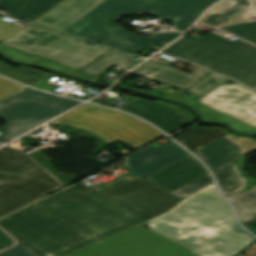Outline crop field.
Masks as SVG:
<instances>
[{
    "instance_id": "obj_24",
    "label": "crop field",
    "mask_w": 256,
    "mask_h": 256,
    "mask_svg": "<svg viewBox=\"0 0 256 256\" xmlns=\"http://www.w3.org/2000/svg\"><path fill=\"white\" fill-rule=\"evenodd\" d=\"M224 31L256 44V22L225 27Z\"/></svg>"
},
{
    "instance_id": "obj_30",
    "label": "crop field",
    "mask_w": 256,
    "mask_h": 256,
    "mask_svg": "<svg viewBox=\"0 0 256 256\" xmlns=\"http://www.w3.org/2000/svg\"><path fill=\"white\" fill-rule=\"evenodd\" d=\"M14 241L0 230V249L11 246Z\"/></svg>"
},
{
    "instance_id": "obj_28",
    "label": "crop field",
    "mask_w": 256,
    "mask_h": 256,
    "mask_svg": "<svg viewBox=\"0 0 256 256\" xmlns=\"http://www.w3.org/2000/svg\"><path fill=\"white\" fill-rule=\"evenodd\" d=\"M0 256H33V255L19 244L13 248H10L0 253Z\"/></svg>"
},
{
    "instance_id": "obj_27",
    "label": "crop field",
    "mask_w": 256,
    "mask_h": 256,
    "mask_svg": "<svg viewBox=\"0 0 256 256\" xmlns=\"http://www.w3.org/2000/svg\"><path fill=\"white\" fill-rule=\"evenodd\" d=\"M22 27L0 19V40L8 38Z\"/></svg>"
},
{
    "instance_id": "obj_29",
    "label": "crop field",
    "mask_w": 256,
    "mask_h": 256,
    "mask_svg": "<svg viewBox=\"0 0 256 256\" xmlns=\"http://www.w3.org/2000/svg\"><path fill=\"white\" fill-rule=\"evenodd\" d=\"M52 77H54V76L49 75V76L45 77L44 79H42V80H40V81L30 85V86H32L34 88H38V89H42V90L52 92L54 89L59 87V86H56L54 84H51V83L47 82Z\"/></svg>"
},
{
    "instance_id": "obj_35",
    "label": "crop field",
    "mask_w": 256,
    "mask_h": 256,
    "mask_svg": "<svg viewBox=\"0 0 256 256\" xmlns=\"http://www.w3.org/2000/svg\"><path fill=\"white\" fill-rule=\"evenodd\" d=\"M255 1V3H256V0H254Z\"/></svg>"
},
{
    "instance_id": "obj_14",
    "label": "crop field",
    "mask_w": 256,
    "mask_h": 256,
    "mask_svg": "<svg viewBox=\"0 0 256 256\" xmlns=\"http://www.w3.org/2000/svg\"><path fill=\"white\" fill-rule=\"evenodd\" d=\"M208 173L191 155L147 177L169 192Z\"/></svg>"
},
{
    "instance_id": "obj_3",
    "label": "crop field",
    "mask_w": 256,
    "mask_h": 256,
    "mask_svg": "<svg viewBox=\"0 0 256 256\" xmlns=\"http://www.w3.org/2000/svg\"><path fill=\"white\" fill-rule=\"evenodd\" d=\"M217 0H106L64 33L90 39L123 52L136 54L158 42H170L181 33H158L151 37L127 34L115 22L139 11L174 22L176 30H186L200 13ZM196 13L197 15L193 14Z\"/></svg>"
},
{
    "instance_id": "obj_10",
    "label": "crop field",
    "mask_w": 256,
    "mask_h": 256,
    "mask_svg": "<svg viewBox=\"0 0 256 256\" xmlns=\"http://www.w3.org/2000/svg\"><path fill=\"white\" fill-rule=\"evenodd\" d=\"M65 256H200L140 226H134Z\"/></svg>"
},
{
    "instance_id": "obj_6",
    "label": "crop field",
    "mask_w": 256,
    "mask_h": 256,
    "mask_svg": "<svg viewBox=\"0 0 256 256\" xmlns=\"http://www.w3.org/2000/svg\"><path fill=\"white\" fill-rule=\"evenodd\" d=\"M50 123L84 129L107 143L119 140L135 149L162 136L158 130L134 117L88 104L82 105Z\"/></svg>"
},
{
    "instance_id": "obj_22",
    "label": "crop field",
    "mask_w": 256,
    "mask_h": 256,
    "mask_svg": "<svg viewBox=\"0 0 256 256\" xmlns=\"http://www.w3.org/2000/svg\"><path fill=\"white\" fill-rule=\"evenodd\" d=\"M0 74L28 85L48 75L47 73L25 66L15 69L2 61H0Z\"/></svg>"
},
{
    "instance_id": "obj_20",
    "label": "crop field",
    "mask_w": 256,
    "mask_h": 256,
    "mask_svg": "<svg viewBox=\"0 0 256 256\" xmlns=\"http://www.w3.org/2000/svg\"><path fill=\"white\" fill-rule=\"evenodd\" d=\"M213 174L224 195L243 190L246 186L245 180L237 172L232 162L213 171Z\"/></svg>"
},
{
    "instance_id": "obj_9",
    "label": "crop field",
    "mask_w": 256,
    "mask_h": 256,
    "mask_svg": "<svg viewBox=\"0 0 256 256\" xmlns=\"http://www.w3.org/2000/svg\"><path fill=\"white\" fill-rule=\"evenodd\" d=\"M205 120H225L242 132L256 133V93L238 84L221 85L203 98H185Z\"/></svg>"
},
{
    "instance_id": "obj_5",
    "label": "crop field",
    "mask_w": 256,
    "mask_h": 256,
    "mask_svg": "<svg viewBox=\"0 0 256 256\" xmlns=\"http://www.w3.org/2000/svg\"><path fill=\"white\" fill-rule=\"evenodd\" d=\"M0 218L59 190L65 185L31 156L7 147L0 150Z\"/></svg>"
},
{
    "instance_id": "obj_12",
    "label": "crop field",
    "mask_w": 256,
    "mask_h": 256,
    "mask_svg": "<svg viewBox=\"0 0 256 256\" xmlns=\"http://www.w3.org/2000/svg\"><path fill=\"white\" fill-rule=\"evenodd\" d=\"M254 148H256V142L250 139L233 138L227 135L193 154L197 155L212 171Z\"/></svg>"
},
{
    "instance_id": "obj_11",
    "label": "crop field",
    "mask_w": 256,
    "mask_h": 256,
    "mask_svg": "<svg viewBox=\"0 0 256 256\" xmlns=\"http://www.w3.org/2000/svg\"><path fill=\"white\" fill-rule=\"evenodd\" d=\"M117 109L141 117L167 134L191 122L189 115L184 111L137 97L132 98Z\"/></svg>"
},
{
    "instance_id": "obj_4",
    "label": "crop field",
    "mask_w": 256,
    "mask_h": 256,
    "mask_svg": "<svg viewBox=\"0 0 256 256\" xmlns=\"http://www.w3.org/2000/svg\"><path fill=\"white\" fill-rule=\"evenodd\" d=\"M163 53L256 87V47L240 39L231 41L214 33L196 41L183 37Z\"/></svg>"
},
{
    "instance_id": "obj_16",
    "label": "crop field",
    "mask_w": 256,
    "mask_h": 256,
    "mask_svg": "<svg viewBox=\"0 0 256 256\" xmlns=\"http://www.w3.org/2000/svg\"><path fill=\"white\" fill-rule=\"evenodd\" d=\"M256 17L252 0H227L209 11L198 24L222 26Z\"/></svg>"
},
{
    "instance_id": "obj_7",
    "label": "crop field",
    "mask_w": 256,
    "mask_h": 256,
    "mask_svg": "<svg viewBox=\"0 0 256 256\" xmlns=\"http://www.w3.org/2000/svg\"><path fill=\"white\" fill-rule=\"evenodd\" d=\"M85 43L86 40L27 25L0 44L80 70L110 49L102 45L95 47Z\"/></svg>"
},
{
    "instance_id": "obj_19",
    "label": "crop field",
    "mask_w": 256,
    "mask_h": 256,
    "mask_svg": "<svg viewBox=\"0 0 256 256\" xmlns=\"http://www.w3.org/2000/svg\"><path fill=\"white\" fill-rule=\"evenodd\" d=\"M134 57L110 49L86 68H84L82 72L97 76L106 71L113 64H117L130 69L139 63V61L134 60Z\"/></svg>"
},
{
    "instance_id": "obj_13",
    "label": "crop field",
    "mask_w": 256,
    "mask_h": 256,
    "mask_svg": "<svg viewBox=\"0 0 256 256\" xmlns=\"http://www.w3.org/2000/svg\"><path fill=\"white\" fill-rule=\"evenodd\" d=\"M105 0H65L33 24L63 32Z\"/></svg>"
},
{
    "instance_id": "obj_17",
    "label": "crop field",
    "mask_w": 256,
    "mask_h": 256,
    "mask_svg": "<svg viewBox=\"0 0 256 256\" xmlns=\"http://www.w3.org/2000/svg\"><path fill=\"white\" fill-rule=\"evenodd\" d=\"M62 0H0V8L17 20L29 23Z\"/></svg>"
},
{
    "instance_id": "obj_8",
    "label": "crop field",
    "mask_w": 256,
    "mask_h": 256,
    "mask_svg": "<svg viewBox=\"0 0 256 256\" xmlns=\"http://www.w3.org/2000/svg\"><path fill=\"white\" fill-rule=\"evenodd\" d=\"M80 101L24 88L0 102V117L7 124L0 127V143H5L79 104Z\"/></svg>"
},
{
    "instance_id": "obj_36",
    "label": "crop field",
    "mask_w": 256,
    "mask_h": 256,
    "mask_svg": "<svg viewBox=\"0 0 256 256\" xmlns=\"http://www.w3.org/2000/svg\"><path fill=\"white\" fill-rule=\"evenodd\" d=\"M1 146V145H0Z\"/></svg>"
},
{
    "instance_id": "obj_32",
    "label": "crop field",
    "mask_w": 256,
    "mask_h": 256,
    "mask_svg": "<svg viewBox=\"0 0 256 256\" xmlns=\"http://www.w3.org/2000/svg\"><path fill=\"white\" fill-rule=\"evenodd\" d=\"M242 157V156H241ZM241 157L235 159L233 162L234 166L236 167V169L239 171V173L241 174V176L246 180V181H249L251 178L250 177H246V176H243L245 173L242 172V170H240V167L238 165V162L239 160L241 159Z\"/></svg>"
},
{
    "instance_id": "obj_31",
    "label": "crop field",
    "mask_w": 256,
    "mask_h": 256,
    "mask_svg": "<svg viewBox=\"0 0 256 256\" xmlns=\"http://www.w3.org/2000/svg\"><path fill=\"white\" fill-rule=\"evenodd\" d=\"M244 256H256V243L251 245L247 250H245Z\"/></svg>"
},
{
    "instance_id": "obj_26",
    "label": "crop field",
    "mask_w": 256,
    "mask_h": 256,
    "mask_svg": "<svg viewBox=\"0 0 256 256\" xmlns=\"http://www.w3.org/2000/svg\"><path fill=\"white\" fill-rule=\"evenodd\" d=\"M25 86L13 83L9 80L0 77V101L6 97L18 92Z\"/></svg>"
},
{
    "instance_id": "obj_18",
    "label": "crop field",
    "mask_w": 256,
    "mask_h": 256,
    "mask_svg": "<svg viewBox=\"0 0 256 256\" xmlns=\"http://www.w3.org/2000/svg\"><path fill=\"white\" fill-rule=\"evenodd\" d=\"M225 135L227 134L221 129L204 130L201 127H192L175 140L193 153Z\"/></svg>"
},
{
    "instance_id": "obj_1",
    "label": "crop field",
    "mask_w": 256,
    "mask_h": 256,
    "mask_svg": "<svg viewBox=\"0 0 256 256\" xmlns=\"http://www.w3.org/2000/svg\"><path fill=\"white\" fill-rule=\"evenodd\" d=\"M187 155L172 141L149 145L123 160L132 176L99 187L77 184L1 220L0 226L35 256L65 255L168 211L183 197L141 179Z\"/></svg>"
},
{
    "instance_id": "obj_15",
    "label": "crop field",
    "mask_w": 256,
    "mask_h": 256,
    "mask_svg": "<svg viewBox=\"0 0 256 256\" xmlns=\"http://www.w3.org/2000/svg\"><path fill=\"white\" fill-rule=\"evenodd\" d=\"M198 68L193 73L178 71L169 66V64L148 61L131 73L150 78L180 89L185 90L190 85L200 80L206 73Z\"/></svg>"
},
{
    "instance_id": "obj_2",
    "label": "crop field",
    "mask_w": 256,
    "mask_h": 256,
    "mask_svg": "<svg viewBox=\"0 0 256 256\" xmlns=\"http://www.w3.org/2000/svg\"><path fill=\"white\" fill-rule=\"evenodd\" d=\"M144 223L202 256H232L254 241L237 225L232 209L215 185Z\"/></svg>"
},
{
    "instance_id": "obj_23",
    "label": "crop field",
    "mask_w": 256,
    "mask_h": 256,
    "mask_svg": "<svg viewBox=\"0 0 256 256\" xmlns=\"http://www.w3.org/2000/svg\"><path fill=\"white\" fill-rule=\"evenodd\" d=\"M224 80H226V78L211 73L190 86L188 89H186V91L204 95L214 89L216 86H218Z\"/></svg>"
},
{
    "instance_id": "obj_33",
    "label": "crop field",
    "mask_w": 256,
    "mask_h": 256,
    "mask_svg": "<svg viewBox=\"0 0 256 256\" xmlns=\"http://www.w3.org/2000/svg\"><path fill=\"white\" fill-rule=\"evenodd\" d=\"M254 220L256 221V214H255V216H254Z\"/></svg>"
},
{
    "instance_id": "obj_21",
    "label": "crop field",
    "mask_w": 256,
    "mask_h": 256,
    "mask_svg": "<svg viewBox=\"0 0 256 256\" xmlns=\"http://www.w3.org/2000/svg\"><path fill=\"white\" fill-rule=\"evenodd\" d=\"M237 209L241 222L253 221L256 213V184L246 192L227 196Z\"/></svg>"
},
{
    "instance_id": "obj_34",
    "label": "crop field",
    "mask_w": 256,
    "mask_h": 256,
    "mask_svg": "<svg viewBox=\"0 0 256 256\" xmlns=\"http://www.w3.org/2000/svg\"><path fill=\"white\" fill-rule=\"evenodd\" d=\"M6 249V248H5ZM2 250H4V249H2ZM2 250H0V251H2Z\"/></svg>"
},
{
    "instance_id": "obj_25",
    "label": "crop field",
    "mask_w": 256,
    "mask_h": 256,
    "mask_svg": "<svg viewBox=\"0 0 256 256\" xmlns=\"http://www.w3.org/2000/svg\"><path fill=\"white\" fill-rule=\"evenodd\" d=\"M212 182V178L209 174H206L172 193L186 197Z\"/></svg>"
}]
</instances>
